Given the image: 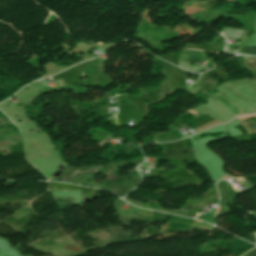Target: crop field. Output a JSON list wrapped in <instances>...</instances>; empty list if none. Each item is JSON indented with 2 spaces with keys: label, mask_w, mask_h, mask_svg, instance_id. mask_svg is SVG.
Wrapping results in <instances>:
<instances>
[{
  "label": "crop field",
  "mask_w": 256,
  "mask_h": 256,
  "mask_svg": "<svg viewBox=\"0 0 256 256\" xmlns=\"http://www.w3.org/2000/svg\"><path fill=\"white\" fill-rule=\"evenodd\" d=\"M253 187L256 186V177H250V176H247V177H244Z\"/></svg>",
  "instance_id": "crop-field-5"
},
{
  "label": "crop field",
  "mask_w": 256,
  "mask_h": 256,
  "mask_svg": "<svg viewBox=\"0 0 256 256\" xmlns=\"http://www.w3.org/2000/svg\"><path fill=\"white\" fill-rule=\"evenodd\" d=\"M250 242L256 243V237L254 233L250 234Z\"/></svg>",
  "instance_id": "crop-field-8"
},
{
  "label": "crop field",
  "mask_w": 256,
  "mask_h": 256,
  "mask_svg": "<svg viewBox=\"0 0 256 256\" xmlns=\"http://www.w3.org/2000/svg\"><path fill=\"white\" fill-rule=\"evenodd\" d=\"M246 116H252V115H246ZM246 116H241V117H246ZM252 117L256 118V116H252ZM237 118H240V117H237ZM247 118H251V117L239 119L241 125L245 128V130L248 132V134L256 132V122L243 121L244 119H247Z\"/></svg>",
  "instance_id": "crop-field-1"
},
{
  "label": "crop field",
  "mask_w": 256,
  "mask_h": 256,
  "mask_svg": "<svg viewBox=\"0 0 256 256\" xmlns=\"http://www.w3.org/2000/svg\"><path fill=\"white\" fill-rule=\"evenodd\" d=\"M244 256H256V248L249 251L247 254H245Z\"/></svg>",
  "instance_id": "crop-field-7"
},
{
  "label": "crop field",
  "mask_w": 256,
  "mask_h": 256,
  "mask_svg": "<svg viewBox=\"0 0 256 256\" xmlns=\"http://www.w3.org/2000/svg\"><path fill=\"white\" fill-rule=\"evenodd\" d=\"M244 61L248 69L256 67V57L245 59Z\"/></svg>",
  "instance_id": "crop-field-4"
},
{
  "label": "crop field",
  "mask_w": 256,
  "mask_h": 256,
  "mask_svg": "<svg viewBox=\"0 0 256 256\" xmlns=\"http://www.w3.org/2000/svg\"><path fill=\"white\" fill-rule=\"evenodd\" d=\"M239 53H242V54H249V55H256V47H252V46H241Z\"/></svg>",
  "instance_id": "crop-field-3"
},
{
  "label": "crop field",
  "mask_w": 256,
  "mask_h": 256,
  "mask_svg": "<svg viewBox=\"0 0 256 256\" xmlns=\"http://www.w3.org/2000/svg\"><path fill=\"white\" fill-rule=\"evenodd\" d=\"M3 118L4 120H5V122L7 123V124H10V123H13L12 121H10L2 112H0V118ZM0 124H2V123H0Z\"/></svg>",
  "instance_id": "crop-field-6"
},
{
  "label": "crop field",
  "mask_w": 256,
  "mask_h": 256,
  "mask_svg": "<svg viewBox=\"0 0 256 256\" xmlns=\"http://www.w3.org/2000/svg\"><path fill=\"white\" fill-rule=\"evenodd\" d=\"M2 256H8V255L3 254Z\"/></svg>",
  "instance_id": "crop-field-9"
},
{
  "label": "crop field",
  "mask_w": 256,
  "mask_h": 256,
  "mask_svg": "<svg viewBox=\"0 0 256 256\" xmlns=\"http://www.w3.org/2000/svg\"><path fill=\"white\" fill-rule=\"evenodd\" d=\"M216 98H218L221 102H223L227 107H229L236 115L244 114L239 110V107L236 106L234 103L231 101L227 100L222 96L221 94L217 93L215 95Z\"/></svg>",
  "instance_id": "crop-field-2"
}]
</instances>
